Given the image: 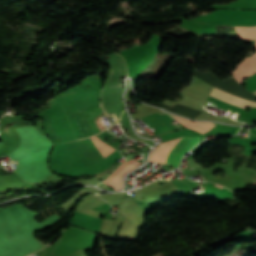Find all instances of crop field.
Here are the masks:
<instances>
[{
	"label": "crop field",
	"instance_id": "obj_6",
	"mask_svg": "<svg viewBox=\"0 0 256 256\" xmlns=\"http://www.w3.org/2000/svg\"><path fill=\"white\" fill-rule=\"evenodd\" d=\"M256 95V91L253 92Z\"/></svg>",
	"mask_w": 256,
	"mask_h": 256
},
{
	"label": "crop field",
	"instance_id": "obj_3",
	"mask_svg": "<svg viewBox=\"0 0 256 256\" xmlns=\"http://www.w3.org/2000/svg\"><path fill=\"white\" fill-rule=\"evenodd\" d=\"M254 73H256V53L251 58L247 57L238 63V67L232 72L234 78L240 84L246 76Z\"/></svg>",
	"mask_w": 256,
	"mask_h": 256
},
{
	"label": "crop field",
	"instance_id": "obj_5",
	"mask_svg": "<svg viewBox=\"0 0 256 256\" xmlns=\"http://www.w3.org/2000/svg\"><path fill=\"white\" fill-rule=\"evenodd\" d=\"M241 39H256V28L235 26Z\"/></svg>",
	"mask_w": 256,
	"mask_h": 256
},
{
	"label": "crop field",
	"instance_id": "obj_4",
	"mask_svg": "<svg viewBox=\"0 0 256 256\" xmlns=\"http://www.w3.org/2000/svg\"><path fill=\"white\" fill-rule=\"evenodd\" d=\"M211 95L221 98V99H224V100H227L229 102L244 106V107H246V106L256 107V102H253V101H250V100L238 97V96L231 95V94L224 92L220 89H217L215 87L213 88Z\"/></svg>",
	"mask_w": 256,
	"mask_h": 256
},
{
	"label": "crop field",
	"instance_id": "obj_1",
	"mask_svg": "<svg viewBox=\"0 0 256 256\" xmlns=\"http://www.w3.org/2000/svg\"><path fill=\"white\" fill-rule=\"evenodd\" d=\"M200 139L201 137H181L180 140L178 139V143L167 157L165 163L175 167L179 166L183 154L195 146Z\"/></svg>",
	"mask_w": 256,
	"mask_h": 256
},
{
	"label": "crop field",
	"instance_id": "obj_7",
	"mask_svg": "<svg viewBox=\"0 0 256 256\" xmlns=\"http://www.w3.org/2000/svg\"><path fill=\"white\" fill-rule=\"evenodd\" d=\"M96 136V135H95ZM99 139V138H98ZM102 141V140H101Z\"/></svg>",
	"mask_w": 256,
	"mask_h": 256
},
{
	"label": "crop field",
	"instance_id": "obj_2",
	"mask_svg": "<svg viewBox=\"0 0 256 256\" xmlns=\"http://www.w3.org/2000/svg\"><path fill=\"white\" fill-rule=\"evenodd\" d=\"M140 164L141 163L133 159L123 163L107 180L104 181V183L113 187L115 190H121L123 185V176Z\"/></svg>",
	"mask_w": 256,
	"mask_h": 256
}]
</instances>
